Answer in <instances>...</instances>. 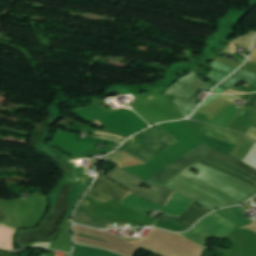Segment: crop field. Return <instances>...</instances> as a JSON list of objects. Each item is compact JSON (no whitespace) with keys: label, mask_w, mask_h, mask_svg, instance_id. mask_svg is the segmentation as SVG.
<instances>
[{"label":"crop field","mask_w":256,"mask_h":256,"mask_svg":"<svg viewBox=\"0 0 256 256\" xmlns=\"http://www.w3.org/2000/svg\"><path fill=\"white\" fill-rule=\"evenodd\" d=\"M253 201H255V202H256V198H255V199H253Z\"/></svg>","instance_id":"25"},{"label":"crop field","mask_w":256,"mask_h":256,"mask_svg":"<svg viewBox=\"0 0 256 256\" xmlns=\"http://www.w3.org/2000/svg\"><path fill=\"white\" fill-rule=\"evenodd\" d=\"M223 92H225V91H223L217 87L212 93H223Z\"/></svg>","instance_id":"23"},{"label":"crop field","mask_w":256,"mask_h":256,"mask_svg":"<svg viewBox=\"0 0 256 256\" xmlns=\"http://www.w3.org/2000/svg\"><path fill=\"white\" fill-rule=\"evenodd\" d=\"M195 168V175L189 169ZM163 186L211 209L241 203L256 194L249 185L198 162L189 166Z\"/></svg>","instance_id":"1"},{"label":"crop field","mask_w":256,"mask_h":256,"mask_svg":"<svg viewBox=\"0 0 256 256\" xmlns=\"http://www.w3.org/2000/svg\"><path fill=\"white\" fill-rule=\"evenodd\" d=\"M218 96H220V95H210L209 98L198 108V110L196 111V113H197L202 107H204L205 105H207L208 103H210L212 100H214V99L217 98ZM196 113H195V114H196ZM195 114H194V115H195ZM194 115H192V116L190 117V119H191Z\"/></svg>","instance_id":"19"},{"label":"crop field","mask_w":256,"mask_h":256,"mask_svg":"<svg viewBox=\"0 0 256 256\" xmlns=\"http://www.w3.org/2000/svg\"><path fill=\"white\" fill-rule=\"evenodd\" d=\"M14 233V229L0 226V247L6 250H12V235Z\"/></svg>","instance_id":"17"},{"label":"crop field","mask_w":256,"mask_h":256,"mask_svg":"<svg viewBox=\"0 0 256 256\" xmlns=\"http://www.w3.org/2000/svg\"><path fill=\"white\" fill-rule=\"evenodd\" d=\"M212 154H215L217 156V157H215V156H213V157H215L217 159H220V160H223V161H226V162H228V163H230V164H232V165H234V166H236V167H238V168L256 176V169H254L253 167H251V166H249V165H247V164H245V163H243V162H241L237 159H234L230 156H227L223 153H220L216 150L212 151L209 155L212 156Z\"/></svg>","instance_id":"13"},{"label":"crop field","mask_w":256,"mask_h":256,"mask_svg":"<svg viewBox=\"0 0 256 256\" xmlns=\"http://www.w3.org/2000/svg\"><path fill=\"white\" fill-rule=\"evenodd\" d=\"M94 137L111 139V140L121 141V142L125 140V138L115 136V135L105 134V133H101V132H96Z\"/></svg>","instance_id":"18"},{"label":"crop field","mask_w":256,"mask_h":256,"mask_svg":"<svg viewBox=\"0 0 256 256\" xmlns=\"http://www.w3.org/2000/svg\"><path fill=\"white\" fill-rule=\"evenodd\" d=\"M198 162L203 163L207 166H210L218 171L234 176L250 185H252L256 189V177L217 159H214L210 156H205L198 160Z\"/></svg>","instance_id":"8"},{"label":"crop field","mask_w":256,"mask_h":256,"mask_svg":"<svg viewBox=\"0 0 256 256\" xmlns=\"http://www.w3.org/2000/svg\"><path fill=\"white\" fill-rule=\"evenodd\" d=\"M72 216V215H71ZM71 216H69L68 218H67V221H71Z\"/></svg>","instance_id":"24"},{"label":"crop field","mask_w":256,"mask_h":256,"mask_svg":"<svg viewBox=\"0 0 256 256\" xmlns=\"http://www.w3.org/2000/svg\"><path fill=\"white\" fill-rule=\"evenodd\" d=\"M89 203H90V202H88V201H86V200L83 199L81 205H80V204H79V205H80L81 207L87 208V206H88Z\"/></svg>","instance_id":"22"},{"label":"crop field","mask_w":256,"mask_h":256,"mask_svg":"<svg viewBox=\"0 0 256 256\" xmlns=\"http://www.w3.org/2000/svg\"><path fill=\"white\" fill-rule=\"evenodd\" d=\"M209 211L210 210H208V209L200 208V207L196 206V204L194 202V204L186 212H184L178 218L177 221H176V219H177L176 217L167 216V215H163V214L160 215L158 220L166 221L169 217H171L176 222L189 228L198 218L202 217Z\"/></svg>","instance_id":"9"},{"label":"crop field","mask_w":256,"mask_h":256,"mask_svg":"<svg viewBox=\"0 0 256 256\" xmlns=\"http://www.w3.org/2000/svg\"><path fill=\"white\" fill-rule=\"evenodd\" d=\"M243 80L256 86V75L241 70H239L231 78L223 82L221 86L232 89Z\"/></svg>","instance_id":"11"},{"label":"crop field","mask_w":256,"mask_h":256,"mask_svg":"<svg viewBox=\"0 0 256 256\" xmlns=\"http://www.w3.org/2000/svg\"><path fill=\"white\" fill-rule=\"evenodd\" d=\"M176 141L158 125L130 138L119 149L126 151L146 163ZM212 150L207 144H202L190 151L179 160L165 168L163 171L150 178L148 181L160 186L180 171L196 162Z\"/></svg>","instance_id":"2"},{"label":"crop field","mask_w":256,"mask_h":256,"mask_svg":"<svg viewBox=\"0 0 256 256\" xmlns=\"http://www.w3.org/2000/svg\"><path fill=\"white\" fill-rule=\"evenodd\" d=\"M209 66H211L213 69L207 76L217 83L224 80L232 71L235 70V68L231 66L216 61L211 63Z\"/></svg>","instance_id":"12"},{"label":"crop field","mask_w":256,"mask_h":256,"mask_svg":"<svg viewBox=\"0 0 256 256\" xmlns=\"http://www.w3.org/2000/svg\"><path fill=\"white\" fill-rule=\"evenodd\" d=\"M234 228L235 225L231 222L213 213L199 222L192 231L182 235L198 244H205L203 238L208 239L211 235L222 236L230 233Z\"/></svg>","instance_id":"6"},{"label":"crop field","mask_w":256,"mask_h":256,"mask_svg":"<svg viewBox=\"0 0 256 256\" xmlns=\"http://www.w3.org/2000/svg\"><path fill=\"white\" fill-rule=\"evenodd\" d=\"M0 256H17V255L0 250Z\"/></svg>","instance_id":"21"},{"label":"crop field","mask_w":256,"mask_h":256,"mask_svg":"<svg viewBox=\"0 0 256 256\" xmlns=\"http://www.w3.org/2000/svg\"><path fill=\"white\" fill-rule=\"evenodd\" d=\"M74 256H120L116 253L91 247L75 245Z\"/></svg>","instance_id":"14"},{"label":"crop field","mask_w":256,"mask_h":256,"mask_svg":"<svg viewBox=\"0 0 256 256\" xmlns=\"http://www.w3.org/2000/svg\"><path fill=\"white\" fill-rule=\"evenodd\" d=\"M75 222L83 223V224L90 225L93 227H101V228H104L105 226L112 225V224H101V223L94 222L91 219L90 212L79 210V209H77L76 214H75Z\"/></svg>","instance_id":"16"},{"label":"crop field","mask_w":256,"mask_h":256,"mask_svg":"<svg viewBox=\"0 0 256 256\" xmlns=\"http://www.w3.org/2000/svg\"><path fill=\"white\" fill-rule=\"evenodd\" d=\"M244 212L246 211L242 207L237 206V207L220 210V211H217L216 213L228 219L229 221L235 223L238 226H243V225L250 224V222H248L246 218L241 214Z\"/></svg>","instance_id":"10"},{"label":"crop field","mask_w":256,"mask_h":256,"mask_svg":"<svg viewBox=\"0 0 256 256\" xmlns=\"http://www.w3.org/2000/svg\"><path fill=\"white\" fill-rule=\"evenodd\" d=\"M193 202L194 201L175 192H173L164 207L153 205L133 193L122 201L124 205L145 215L155 209L160 213L176 217H179L185 210H187Z\"/></svg>","instance_id":"5"},{"label":"crop field","mask_w":256,"mask_h":256,"mask_svg":"<svg viewBox=\"0 0 256 256\" xmlns=\"http://www.w3.org/2000/svg\"><path fill=\"white\" fill-rule=\"evenodd\" d=\"M94 189L112 197L113 199L123 200L126 196H128L131 192L123 189L122 187L102 178L99 176L98 180L93 185ZM88 192V196L95 199L96 201L102 203L106 200L111 199L110 197L92 189Z\"/></svg>","instance_id":"7"},{"label":"crop field","mask_w":256,"mask_h":256,"mask_svg":"<svg viewBox=\"0 0 256 256\" xmlns=\"http://www.w3.org/2000/svg\"><path fill=\"white\" fill-rule=\"evenodd\" d=\"M74 112L77 113L78 115H80L82 118H84L85 120H87L90 123L94 122L96 119H98L104 113H106L98 106L74 110Z\"/></svg>","instance_id":"15"},{"label":"crop field","mask_w":256,"mask_h":256,"mask_svg":"<svg viewBox=\"0 0 256 256\" xmlns=\"http://www.w3.org/2000/svg\"><path fill=\"white\" fill-rule=\"evenodd\" d=\"M245 135L256 141V128L251 126Z\"/></svg>","instance_id":"20"},{"label":"crop field","mask_w":256,"mask_h":256,"mask_svg":"<svg viewBox=\"0 0 256 256\" xmlns=\"http://www.w3.org/2000/svg\"><path fill=\"white\" fill-rule=\"evenodd\" d=\"M197 78V75L192 71L188 75L177 80L166 91L165 96L176 97L172 102L178 107L184 117L189 116V114L197 107V105L189 102L197 90L203 88L210 91L215 85L211 82L206 84Z\"/></svg>","instance_id":"3"},{"label":"crop field","mask_w":256,"mask_h":256,"mask_svg":"<svg viewBox=\"0 0 256 256\" xmlns=\"http://www.w3.org/2000/svg\"><path fill=\"white\" fill-rule=\"evenodd\" d=\"M110 179L122 184L126 188L130 189L131 191H136L138 188H140V184L142 182L148 184L151 186L150 190L145 188H140L137 190L136 194L160 205L164 206L170 195L172 194V191L164 188V187H158L146 180H143L129 172H126L119 168H114L111 171H109V177Z\"/></svg>","instance_id":"4"}]
</instances>
